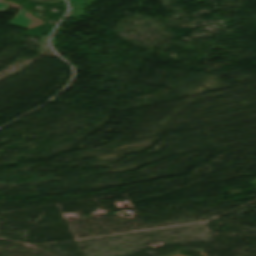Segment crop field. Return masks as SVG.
Listing matches in <instances>:
<instances>
[{"instance_id":"1","label":"crop field","mask_w":256,"mask_h":256,"mask_svg":"<svg viewBox=\"0 0 256 256\" xmlns=\"http://www.w3.org/2000/svg\"><path fill=\"white\" fill-rule=\"evenodd\" d=\"M31 21L32 20L26 16V10L22 9L9 24L21 28H26L29 26Z\"/></svg>"},{"instance_id":"2","label":"crop field","mask_w":256,"mask_h":256,"mask_svg":"<svg viewBox=\"0 0 256 256\" xmlns=\"http://www.w3.org/2000/svg\"><path fill=\"white\" fill-rule=\"evenodd\" d=\"M8 8V5L7 4H3V3H0V11L1 12H4V10Z\"/></svg>"}]
</instances>
